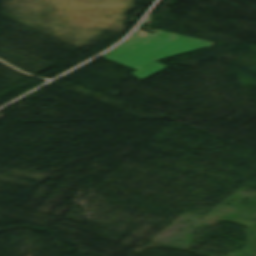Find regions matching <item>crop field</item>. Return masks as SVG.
<instances>
[{"mask_svg":"<svg viewBox=\"0 0 256 256\" xmlns=\"http://www.w3.org/2000/svg\"><path fill=\"white\" fill-rule=\"evenodd\" d=\"M213 44L215 43L160 30L154 34L138 31L103 58L137 70L132 74L142 80L167 67L155 60L199 50Z\"/></svg>","mask_w":256,"mask_h":256,"instance_id":"obj_1","label":"crop field"}]
</instances>
